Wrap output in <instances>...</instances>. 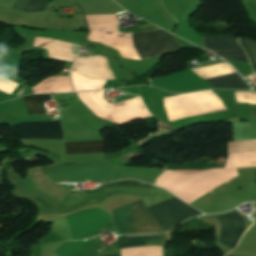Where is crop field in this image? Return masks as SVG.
I'll return each instance as SVG.
<instances>
[{
    "mask_svg": "<svg viewBox=\"0 0 256 256\" xmlns=\"http://www.w3.org/2000/svg\"><path fill=\"white\" fill-rule=\"evenodd\" d=\"M135 233L162 231L142 200L133 203ZM132 203L113 210L115 231L118 234L134 233Z\"/></svg>",
    "mask_w": 256,
    "mask_h": 256,
    "instance_id": "obj_1",
    "label": "crop field"
},
{
    "mask_svg": "<svg viewBox=\"0 0 256 256\" xmlns=\"http://www.w3.org/2000/svg\"><path fill=\"white\" fill-rule=\"evenodd\" d=\"M133 36L141 60L180 50V46L172 35L162 29L147 33H133Z\"/></svg>",
    "mask_w": 256,
    "mask_h": 256,
    "instance_id": "obj_2",
    "label": "crop field"
},
{
    "mask_svg": "<svg viewBox=\"0 0 256 256\" xmlns=\"http://www.w3.org/2000/svg\"><path fill=\"white\" fill-rule=\"evenodd\" d=\"M162 229H168L185 219L201 215L199 211L175 198L149 208Z\"/></svg>",
    "mask_w": 256,
    "mask_h": 256,
    "instance_id": "obj_3",
    "label": "crop field"
},
{
    "mask_svg": "<svg viewBox=\"0 0 256 256\" xmlns=\"http://www.w3.org/2000/svg\"><path fill=\"white\" fill-rule=\"evenodd\" d=\"M19 138L63 139L59 121L25 122L10 126Z\"/></svg>",
    "mask_w": 256,
    "mask_h": 256,
    "instance_id": "obj_4",
    "label": "crop field"
},
{
    "mask_svg": "<svg viewBox=\"0 0 256 256\" xmlns=\"http://www.w3.org/2000/svg\"><path fill=\"white\" fill-rule=\"evenodd\" d=\"M205 49L225 58L248 60L233 35L202 36Z\"/></svg>",
    "mask_w": 256,
    "mask_h": 256,
    "instance_id": "obj_5",
    "label": "crop field"
},
{
    "mask_svg": "<svg viewBox=\"0 0 256 256\" xmlns=\"http://www.w3.org/2000/svg\"><path fill=\"white\" fill-rule=\"evenodd\" d=\"M222 228L219 242L234 248L242 235L244 223L237 213L218 217Z\"/></svg>",
    "mask_w": 256,
    "mask_h": 256,
    "instance_id": "obj_6",
    "label": "crop field"
},
{
    "mask_svg": "<svg viewBox=\"0 0 256 256\" xmlns=\"http://www.w3.org/2000/svg\"><path fill=\"white\" fill-rule=\"evenodd\" d=\"M205 80L215 88L251 89L237 73L205 78Z\"/></svg>",
    "mask_w": 256,
    "mask_h": 256,
    "instance_id": "obj_7",
    "label": "crop field"
},
{
    "mask_svg": "<svg viewBox=\"0 0 256 256\" xmlns=\"http://www.w3.org/2000/svg\"><path fill=\"white\" fill-rule=\"evenodd\" d=\"M67 154L95 153L105 151L104 140L65 143Z\"/></svg>",
    "mask_w": 256,
    "mask_h": 256,
    "instance_id": "obj_8",
    "label": "crop field"
},
{
    "mask_svg": "<svg viewBox=\"0 0 256 256\" xmlns=\"http://www.w3.org/2000/svg\"><path fill=\"white\" fill-rule=\"evenodd\" d=\"M150 240H164V237H163V234L133 235V236L123 237L118 241L121 244V248H125V247L143 246L145 245V241H150ZM163 248H162V253H163ZM108 256H120V253L108 255ZM163 256H164V253H163Z\"/></svg>",
    "mask_w": 256,
    "mask_h": 256,
    "instance_id": "obj_9",
    "label": "crop field"
},
{
    "mask_svg": "<svg viewBox=\"0 0 256 256\" xmlns=\"http://www.w3.org/2000/svg\"><path fill=\"white\" fill-rule=\"evenodd\" d=\"M29 114H44L46 109L44 102L51 100L50 95H33L23 97Z\"/></svg>",
    "mask_w": 256,
    "mask_h": 256,
    "instance_id": "obj_10",
    "label": "crop field"
},
{
    "mask_svg": "<svg viewBox=\"0 0 256 256\" xmlns=\"http://www.w3.org/2000/svg\"><path fill=\"white\" fill-rule=\"evenodd\" d=\"M30 0H18L12 9L23 11ZM50 0H31L24 12H42Z\"/></svg>",
    "mask_w": 256,
    "mask_h": 256,
    "instance_id": "obj_11",
    "label": "crop field"
},
{
    "mask_svg": "<svg viewBox=\"0 0 256 256\" xmlns=\"http://www.w3.org/2000/svg\"><path fill=\"white\" fill-rule=\"evenodd\" d=\"M256 151L255 141H239L228 143V153Z\"/></svg>",
    "mask_w": 256,
    "mask_h": 256,
    "instance_id": "obj_12",
    "label": "crop field"
},
{
    "mask_svg": "<svg viewBox=\"0 0 256 256\" xmlns=\"http://www.w3.org/2000/svg\"><path fill=\"white\" fill-rule=\"evenodd\" d=\"M240 41L243 47L247 50V53L251 59V62L254 65V68L256 70V43L248 39L240 40Z\"/></svg>",
    "mask_w": 256,
    "mask_h": 256,
    "instance_id": "obj_13",
    "label": "crop field"
},
{
    "mask_svg": "<svg viewBox=\"0 0 256 256\" xmlns=\"http://www.w3.org/2000/svg\"><path fill=\"white\" fill-rule=\"evenodd\" d=\"M119 185H133V186H145V187H153L152 185L137 181V180H121V181H115L107 184H103V188L111 187V186H119Z\"/></svg>",
    "mask_w": 256,
    "mask_h": 256,
    "instance_id": "obj_14",
    "label": "crop field"
},
{
    "mask_svg": "<svg viewBox=\"0 0 256 256\" xmlns=\"http://www.w3.org/2000/svg\"><path fill=\"white\" fill-rule=\"evenodd\" d=\"M75 190H78V189L70 190L69 192H71V191H75Z\"/></svg>",
    "mask_w": 256,
    "mask_h": 256,
    "instance_id": "obj_15",
    "label": "crop field"
},
{
    "mask_svg": "<svg viewBox=\"0 0 256 256\" xmlns=\"http://www.w3.org/2000/svg\"><path fill=\"white\" fill-rule=\"evenodd\" d=\"M227 256H230V255H227Z\"/></svg>",
    "mask_w": 256,
    "mask_h": 256,
    "instance_id": "obj_16",
    "label": "crop field"
},
{
    "mask_svg": "<svg viewBox=\"0 0 256 256\" xmlns=\"http://www.w3.org/2000/svg\"><path fill=\"white\" fill-rule=\"evenodd\" d=\"M75 45V44H74Z\"/></svg>",
    "mask_w": 256,
    "mask_h": 256,
    "instance_id": "obj_17",
    "label": "crop field"
}]
</instances>
